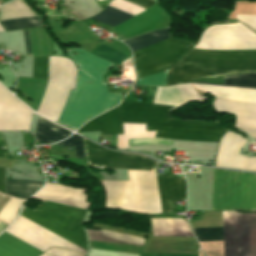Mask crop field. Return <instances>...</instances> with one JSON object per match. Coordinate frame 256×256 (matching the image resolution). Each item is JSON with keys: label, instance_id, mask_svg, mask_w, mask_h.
<instances>
[{"label": "crop field", "instance_id": "crop-field-3", "mask_svg": "<svg viewBox=\"0 0 256 256\" xmlns=\"http://www.w3.org/2000/svg\"><path fill=\"white\" fill-rule=\"evenodd\" d=\"M67 53L79 69L76 90H71L57 123L76 130L118 103L122 93H107L102 83V76L112 64L82 49H71Z\"/></svg>", "mask_w": 256, "mask_h": 256}, {"label": "crop field", "instance_id": "crop-field-21", "mask_svg": "<svg viewBox=\"0 0 256 256\" xmlns=\"http://www.w3.org/2000/svg\"><path fill=\"white\" fill-rule=\"evenodd\" d=\"M41 253L5 232L0 235V256H38Z\"/></svg>", "mask_w": 256, "mask_h": 256}, {"label": "crop field", "instance_id": "crop-field-6", "mask_svg": "<svg viewBox=\"0 0 256 256\" xmlns=\"http://www.w3.org/2000/svg\"><path fill=\"white\" fill-rule=\"evenodd\" d=\"M236 172L214 169L211 210H233ZM234 210L256 211V175L237 172Z\"/></svg>", "mask_w": 256, "mask_h": 256}, {"label": "crop field", "instance_id": "crop-field-11", "mask_svg": "<svg viewBox=\"0 0 256 256\" xmlns=\"http://www.w3.org/2000/svg\"><path fill=\"white\" fill-rule=\"evenodd\" d=\"M224 256H248V213L224 211Z\"/></svg>", "mask_w": 256, "mask_h": 256}, {"label": "crop field", "instance_id": "crop-field-27", "mask_svg": "<svg viewBox=\"0 0 256 256\" xmlns=\"http://www.w3.org/2000/svg\"><path fill=\"white\" fill-rule=\"evenodd\" d=\"M0 23L6 30L28 28V27H42L39 17L22 18L15 20H2Z\"/></svg>", "mask_w": 256, "mask_h": 256}, {"label": "crop field", "instance_id": "crop-field-28", "mask_svg": "<svg viewBox=\"0 0 256 256\" xmlns=\"http://www.w3.org/2000/svg\"><path fill=\"white\" fill-rule=\"evenodd\" d=\"M22 203V200L11 197L4 208L0 211V220L10 224L14 220Z\"/></svg>", "mask_w": 256, "mask_h": 256}, {"label": "crop field", "instance_id": "crop-field-13", "mask_svg": "<svg viewBox=\"0 0 256 256\" xmlns=\"http://www.w3.org/2000/svg\"><path fill=\"white\" fill-rule=\"evenodd\" d=\"M247 141L226 132L218 146L216 167L256 171V157L246 158L239 155L240 149Z\"/></svg>", "mask_w": 256, "mask_h": 256}, {"label": "crop field", "instance_id": "crop-field-16", "mask_svg": "<svg viewBox=\"0 0 256 256\" xmlns=\"http://www.w3.org/2000/svg\"><path fill=\"white\" fill-rule=\"evenodd\" d=\"M213 108L216 111L236 115L235 127L256 128V103L217 99Z\"/></svg>", "mask_w": 256, "mask_h": 256}, {"label": "crop field", "instance_id": "crop-field-32", "mask_svg": "<svg viewBox=\"0 0 256 256\" xmlns=\"http://www.w3.org/2000/svg\"><path fill=\"white\" fill-rule=\"evenodd\" d=\"M59 146H67V147H75V153L78 158H84L83 154V146L81 137L78 135H73L69 137L67 140L58 143Z\"/></svg>", "mask_w": 256, "mask_h": 256}, {"label": "crop field", "instance_id": "crop-field-36", "mask_svg": "<svg viewBox=\"0 0 256 256\" xmlns=\"http://www.w3.org/2000/svg\"><path fill=\"white\" fill-rule=\"evenodd\" d=\"M23 33H24V39H25V46H26L27 55L28 56H32L27 29L23 30Z\"/></svg>", "mask_w": 256, "mask_h": 256}, {"label": "crop field", "instance_id": "crop-field-34", "mask_svg": "<svg viewBox=\"0 0 256 256\" xmlns=\"http://www.w3.org/2000/svg\"><path fill=\"white\" fill-rule=\"evenodd\" d=\"M46 253L56 256H83L60 248H50Z\"/></svg>", "mask_w": 256, "mask_h": 256}, {"label": "crop field", "instance_id": "crop-field-39", "mask_svg": "<svg viewBox=\"0 0 256 256\" xmlns=\"http://www.w3.org/2000/svg\"><path fill=\"white\" fill-rule=\"evenodd\" d=\"M41 256H52V255H49V254L44 253V254H42Z\"/></svg>", "mask_w": 256, "mask_h": 256}, {"label": "crop field", "instance_id": "crop-field-10", "mask_svg": "<svg viewBox=\"0 0 256 256\" xmlns=\"http://www.w3.org/2000/svg\"><path fill=\"white\" fill-rule=\"evenodd\" d=\"M85 159L90 166L103 169L104 166L123 169H145L155 168L156 162L131 154L114 152L104 149L84 138Z\"/></svg>", "mask_w": 256, "mask_h": 256}, {"label": "crop field", "instance_id": "crop-field-9", "mask_svg": "<svg viewBox=\"0 0 256 256\" xmlns=\"http://www.w3.org/2000/svg\"><path fill=\"white\" fill-rule=\"evenodd\" d=\"M189 44L191 43L166 39L150 47L134 52V63L135 65L139 64L141 62L147 61L149 59L155 58L157 56L163 55L165 53L187 46ZM190 46L191 45L136 65L135 69L137 77L159 72L165 68H168Z\"/></svg>", "mask_w": 256, "mask_h": 256}, {"label": "crop field", "instance_id": "crop-field-19", "mask_svg": "<svg viewBox=\"0 0 256 256\" xmlns=\"http://www.w3.org/2000/svg\"><path fill=\"white\" fill-rule=\"evenodd\" d=\"M152 236L194 237L188 224L177 218L151 219Z\"/></svg>", "mask_w": 256, "mask_h": 256}, {"label": "crop field", "instance_id": "crop-field-30", "mask_svg": "<svg viewBox=\"0 0 256 256\" xmlns=\"http://www.w3.org/2000/svg\"><path fill=\"white\" fill-rule=\"evenodd\" d=\"M167 70L137 79V85L165 86Z\"/></svg>", "mask_w": 256, "mask_h": 256}, {"label": "crop field", "instance_id": "crop-field-1", "mask_svg": "<svg viewBox=\"0 0 256 256\" xmlns=\"http://www.w3.org/2000/svg\"><path fill=\"white\" fill-rule=\"evenodd\" d=\"M173 106L122 101L117 107L91 119L79 132L123 134L122 122L146 124V131L157 130V138L218 142L226 131L214 123L172 121Z\"/></svg>", "mask_w": 256, "mask_h": 256}, {"label": "crop field", "instance_id": "crop-field-4", "mask_svg": "<svg viewBox=\"0 0 256 256\" xmlns=\"http://www.w3.org/2000/svg\"><path fill=\"white\" fill-rule=\"evenodd\" d=\"M256 71V51H198L191 49L168 71L166 86L204 77Z\"/></svg>", "mask_w": 256, "mask_h": 256}, {"label": "crop field", "instance_id": "crop-field-37", "mask_svg": "<svg viewBox=\"0 0 256 256\" xmlns=\"http://www.w3.org/2000/svg\"><path fill=\"white\" fill-rule=\"evenodd\" d=\"M240 129L245 131L249 136L256 138V130L255 129H244V128H240Z\"/></svg>", "mask_w": 256, "mask_h": 256}, {"label": "crop field", "instance_id": "crop-field-38", "mask_svg": "<svg viewBox=\"0 0 256 256\" xmlns=\"http://www.w3.org/2000/svg\"><path fill=\"white\" fill-rule=\"evenodd\" d=\"M0 149H7L4 142H3V139H2V135L0 134Z\"/></svg>", "mask_w": 256, "mask_h": 256}, {"label": "crop field", "instance_id": "crop-field-2", "mask_svg": "<svg viewBox=\"0 0 256 256\" xmlns=\"http://www.w3.org/2000/svg\"><path fill=\"white\" fill-rule=\"evenodd\" d=\"M86 212L85 210L42 200L41 204L34 211L24 207L20 215L86 248V241L82 230V222ZM20 215L6 232L43 252L49 247L59 246L85 253L86 249Z\"/></svg>", "mask_w": 256, "mask_h": 256}, {"label": "crop field", "instance_id": "crop-field-12", "mask_svg": "<svg viewBox=\"0 0 256 256\" xmlns=\"http://www.w3.org/2000/svg\"><path fill=\"white\" fill-rule=\"evenodd\" d=\"M194 83L256 88V73L225 76L223 84L201 83V82H194ZM193 85H195L199 89L209 91L210 93L214 94L216 97L256 102V89L197 85V84H193Z\"/></svg>", "mask_w": 256, "mask_h": 256}, {"label": "crop field", "instance_id": "crop-field-24", "mask_svg": "<svg viewBox=\"0 0 256 256\" xmlns=\"http://www.w3.org/2000/svg\"><path fill=\"white\" fill-rule=\"evenodd\" d=\"M42 184L43 182L37 181L6 179V194L27 199L35 193Z\"/></svg>", "mask_w": 256, "mask_h": 256}, {"label": "crop field", "instance_id": "crop-field-7", "mask_svg": "<svg viewBox=\"0 0 256 256\" xmlns=\"http://www.w3.org/2000/svg\"><path fill=\"white\" fill-rule=\"evenodd\" d=\"M75 79L76 66L67 55L49 57L48 85L36 112L56 122L70 89H75Z\"/></svg>", "mask_w": 256, "mask_h": 256}, {"label": "crop field", "instance_id": "crop-field-29", "mask_svg": "<svg viewBox=\"0 0 256 256\" xmlns=\"http://www.w3.org/2000/svg\"><path fill=\"white\" fill-rule=\"evenodd\" d=\"M198 241L223 240V227L193 229Z\"/></svg>", "mask_w": 256, "mask_h": 256}, {"label": "crop field", "instance_id": "crop-field-23", "mask_svg": "<svg viewBox=\"0 0 256 256\" xmlns=\"http://www.w3.org/2000/svg\"><path fill=\"white\" fill-rule=\"evenodd\" d=\"M90 240L143 246L144 240L103 230L85 229Z\"/></svg>", "mask_w": 256, "mask_h": 256}, {"label": "crop field", "instance_id": "crop-field-25", "mask_svg": "<svg viewBox=\"0 0 256 256\" xmlns=\"http://www.w3.org/2000/svg\"><path fill=\"white\" fill-rule=\"evenodd\" d=\"M168 38V29H162L158 31H154L151 33H146L141 36H137L131 39L124 40L123 42L126 43L132 50V52L159 42Z\"/></svg>", "mask_w": 256, "mask_h": 256}, {"label": "crop field", "instance_id": "crop-field-5", "mask_svg": "<svg viewBox=\"0 0 256 256\" xmlns=\"http://www.w3.org/2000/svg\"><path fill=\"white\" fill-rule=\"evenodd\" d=\"M129 181H102L107 206L148 214L162 213L155 170H128Z\"/></svg>", "mask_w": 256, "mask_h": 256}, {"label": "crop field", "instance_id": "crop-field-14", "mask_svg": "<svg viewBox=\"0 0 256 256\" xmlns=\"http://www.w3.org/2000/svg\"><path fill=\"white\" fill-rule=\"evenodd\" d=\"M31 110L0 87V131L28 130Z\"/></svg>", "mask_w": 256, "mask_h": 256}, {"label": "crop field", "instance_id": "crop-field-31", "mask_svg": "<svg viewBox=\"0 0 256 256\" xmlns=\"http://www.w3.org/2000/svg\"><path fill=\"white\" fill-rule=\"evenodd\" d=\"M48 57L34 58L33 77L47 80Z\"/></svg>", "mask_w": 256, "mask_h": 256}, {"label": "crop field", "instance_id": "crop-field-18", "mask_svg": "<svg viewBox=\"0 0 256 256\" xmlns=\"http://www.w3.org/2000/svg\"><path fill=\"white\" fill-rule=\"evenodd\" d=\"M163 213L171 212L168 201L185 200L186 185L184 178L157 176Z\"/></svg>", "mask_w": 256, "mask_h": 256}, {"label": "crop field", "instance_id": "crop-field-26", "mask_svg": "<svg viewBox=\"0 0 256 256\" xmlns=\"http://www.w3.org/2000/svg\"><path fill=\"white\" fill-rule=\"evenodd\" d=\"M124 135H117V148L126 149L127 139L154 137L156 131L145 132V125L123 123Z\"/></svg>", "mask_w": 256, "mask_h": 256}, {"label": "crop field", "instance_id": "crop-field-33", "mask_svg": "<svg viewBox=\"0 0 256 256\" xmlns=\"http://www.w3.org/2000/svg\"><path fill=\"white\" fill-rule=\"evenodd\" d=\"M236 19L256 30V15H236Z\"/></svg>", "mask_w": 256, "mask_h": 256}, {"label": "crop field", "instance_id": "crop-field-20", "mask_svg": "<svg viewBox=\"0 0 256 256\" xmlns=\"http://www.w3.org/2000/svg\"><path fill=\"white\" fill-rule=\"evenodd\" d=\"M128 2L140 5L142 7L148 8L154 4L155 2L151 0H126ZM135 14L129 13L127 11L115 8L113 6L108 5V7L100 12L95 17L91 18L96 21L102 22L104 24L110 25L112 27L128 20L129 18L133 17Z\"/></svg>", "mask_w": 256, "mask_h": 256}, {"label": "crop field", "instance_id": "crop-field-15", "mask_svg": "<svg viewBox=\"0 0 256 256\" xmlns=\"http://www.w3.org/2000/svg\"><path fill=\"white\" fill-rule=\"evenodd\" d=\"M33 197L85 210L90 206V204L84 203L85 189L63 187L51 183H47L46 186Z\"/></svg>", "mask_w": 256, "mask_h": 256}, {"label": "crop field", "instance_id": "crop-field-17", "mask_svg": "<svg viewBox=\"0 0 256 256\" xmlns=\"http://www.w3.org/2000/svg\"><path fill=\"white\" fill-rule=\"evenodd\" d=\"M192 100L203 102L190 84L176 85L168 88L158 87L153 102L156 104L180 106Z\"/></svg>", "mask_w": 256, "mask_h": 256}, {"label": "crop field", "instance_id": "crop-field-8", "mask_svg": "<svg viewBox=\"0 0 256 256\" xmlns=\"http://www.w3.org/2000/svg\"><path fill=\"white\" fill-rule=\"evenodd\" d=\"M239 23L208 27L203 31L199 43L192 48L205 50L256 49V34Z\"/></svg>", "mask_w": 256, "mask_h": 256}, {"label": "crop field", "instance_id": "crop-field-35", "mask_svg": "<svg viewBox=\"0 0 256 256\" xmlns=\"http://www.w3.org/2000/svg\"><path fill=\"white\" fill-rule=\"evenodd\" d=\"M0 192L5 194V168L0 167Z\"/></svg>", "mask_w": 256, "mask_h": 256}, {"label": "crop field", "instance_id": "crop-field-22", "mask_svg": "<svg viewBox=\"0 0 256 256\" xmlns=\"http://www.w3.org/2000/svg\"><path fill=\"white\" fill-rule=\"evenodd\" d=\"M69 133L70 132L38 117L35 132L37 143H55L68 136Z\"/></svg>", "mask_w": 256, "mask_h": 256}]
</instances>
